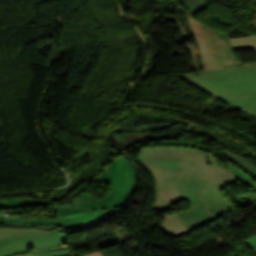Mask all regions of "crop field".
Masks as SVG:
<instances>
[{"label": "crop field", "mask_w": 256, "mask_h": 256, "mask_svg": "<svg viewBox=\"0 0 256 256\" xmlns=\"http://www.w3.org/2000/svg\"><path fill=\"white\" fill-rule=\"evenodd\" d=\"M136 161L154 179L155 201L150 208L159 212L172 209L173 204L181 201L202 202L198 196L239 179L256 192V181L216 153L155 147L140 150Z\"/></svg>", "instance_id": "1"}, {"label": "crop field", "mask_w": 256, "mask_h": 256, "mask_svg": "<svg viewBox=\"0 0 256 256\" xmlns=\"http://www.w3.org/2000/svg\"><path fill=\"white\" fill-rule=\"evenodd\" d=\"M202 203L189 205L191 209L171 215H164L158 229L175 237H180L192 230L207 225L219 218L237 210L220 190L200 196Z\"/></svg>", "instance_id": "2"}, {"label": "crop field", "mask_w": 256, "mask_h": 256, "mask_svg": "<svg viewBox=\"0 0 256 256\" xmlns=\"http://www.w3.org/2000/svg\"><path fill=\"white\" fill-rule=\"evenodd\" d=\"M178 74L211 96L256 93V65Z\"/></svg>", "instance_id": "3"}, {"label": "crop field", "mask_w": 256, "mask_h": 256, "mask_svg": "<svg viewBox=\"0 0 256 256\" xmlns=\"http://www.w3.org/2000/svg\"><path fill=\"white\" fill-rule=\"evenodd\" d=\"M95 181L112 186L111 193L99 201L96 197L85 191L70 198L73 201L72 206L86 207L89 209H111L121 205L131 191L135 180V171L125 157L119 158L111 163Z\"/></svg>", "instance_id": "4"}, {"label": "crop field", "mask_w": 256, "mask_h": 256, "mask_svg": "<svg viewBox=\"0 0 256 256\" xmlns=\"http://www.w3.org/2000/svg\"><path fill=\"white\" fill-rule=\"evenodd\" d=\"M199 47L204 70L253 65L256 62H241L234 53V48L227 33L211 29L188 15Z\"/></svg>", "instance_id": "5"}, {"label": "crop field", "mask_w": 256, "mask_h": 256, "mask_svg": "<svg viewBox=\"0 0 256 256\" xmlns=\"http://www.w3.org/2000/svg\"><path fill=\"white\" fill-rule=\"evenodd\" d=\"M65 230L55 228L49 235L19 236L0 239V256H12L34 252L36 256H66L71 249L65 238Z\"/></svg>", "instance_id": "6"}, {"label": "crop field", "mask_w": 256, "mask_h": 256, "mask_svg": "<svg viewBox=\"0 0 256 256\" xmlns=\"http://www.w3.org/2000/svg\"><path fill=\"white\" fill-rule=\"evenodd\" d=\"M56 211V219H19V218H6L5 224H18V225H34V224H57L69 227H81L87 224L94 223L104 216L110 214L112 210H99L90 211L86 208L65 206L54 207Z\"/></svg>", "instance_id": "7"}, {"label": "crop field", "mask_w": 256, "mask_h": 256, "mask_svg": "<svg viewBox=\"0 0 256 256\" xmlns=\"http://www.w3.org/2000/svg\"><path fill=\"white\" fill-rule=\"evenodd\" d=\"M213 98L226 102L233 109H240L244 112L256 115V94L221 96Z\"/></svg>", "instance_id": "8"}, {"label": "crop field", "mask_w": 256, "mask_h": 256, "mask_svg": "<svg viewBox=\"0 0 256 256\" xmlns=\"http://www.w3.org/2000/svg\"><path fill=\"white\" fill-rule=\"evenodd\" d=\"M51 201H46L37 198H12V199H2L0 200V209H12V208H22L30 207L38 204H44Z\"/></svg>", "instance_id": "9"}, {"label": "crop field", "mask_w": 256, "mask_h": 256, "mask_svg": "<svg viewBox=\"0 0 256 256\" xmlns=\"http://www.w3.org/2000/svg\"><path fill=\"white\" fill-rule=\"evenodd\" d=\"M235 50L255 49L256 36L231 39Z\"/></svg>", "instance_id": "10"}, {"label": "crop field", "mask_w": 256, "mask_h": 256, "mask_svg": "<svg viewBox=\"0 0 256 256\" xmlns=\"http://www.w3.org/2000/svg\"><path fill=\"white\" fill-rule=\"evenodd\" d=\"M222 152L256 176V165L255 164L237 156L236 154L232 153L229 150L224 149Z\"/></svg>", "instance_id": "11"}, {"label": "crop field", "mask_w": 256, "mask_h": 256, "mask_svg": "<svg viewBox=\"0 0 256 256\" xmlns=\"http://www.w3.org/2000/svg\"><path fill=\"white\" fill-rule=\"evenodd\" d=\"M33 234H47V232L0 231V238L19 236V235H33Z\"/></svg>", "instance_id": "12"}, {"label": "crop field", "mask_w": 256, "mask_h": 256, "mask_svg": "<svg viewBox=\"0 0 256 256\" xmlns=\"http://www.w3.org/2000/svg\"><path fill=\"white\" fill-rule=\"evenodd\" d=\"M177 1L180 4H182L186 9H188L191 12L192 15L201 11L196 6H194L192 3H190L188 0H177Z\"/></svg>", "instance_id": "13"}, {"label": "crop field", "mask_w": 256, "mask_h": 256, "mask_svg": "<svg viewBox=\"0 0 256 256\" xmlns=\"http://www.w3.org/2000/svg\"><path fill=\"white\" fill-rule=\"evenodd\" d=\"M189 1L192 2L194 5H196L198 8H200L201 10L206 8L208 4L202 0H189Z\"/></svg>", "instance_id": "14"}, {"label": "crop field", "mask_w": 256, "mask_h": 256, "mask_svg": "<svg viewBox=\"0 0 256 256\" xmlns=\"http://www.w3.org/2000/svg\"><path fill=\"white\" fill-rule=\"evenodd\" d=\"M0 230H30V231H43L39 229H26V228H0ZM48 231V230H47Z\"/></svg>", "instance_id": "15"}, {"label": "crop field", "mask_w": 256, "mask_h": 256, "mask_svg": "<svg viewBox=\"0 0 256 256\" xmlns=\"http://www.w3.org/2000/svg\"><path fill=\"white\" fill-rule=\"evenodd\" d=\"M88 256H102V255H101V253H99V252H96V253H93V254H91V255H88Z\"/></svg>", "instance_id": "16"}, {"label": "crop field", "mask_w": 256, "mask_h": 256, "mask_svg": "<svg viewBox=\"0 0 256 256\" xmlns=\"http://www.w3.org/2000/svg\"><path fill=\"white\" fill-rule=\"evenodd\" d=\"M16 256H34L33 253H29V254H21V255H16Z\"/></svg>", "instance_id": "17"}, {"label": "crop field", "mask_w": 256, "mask_h": 256, "mask_svg": "<svg viewBox=\"0 0 256 256\" xmlns=\"http://www.w3.org/2000/svg\"><path fill=\"white\" fill-rule=\"evenodd\" d=\"M256 47V46H255Z\"/></svg>", "instance_id": "18"}]
</instances>
